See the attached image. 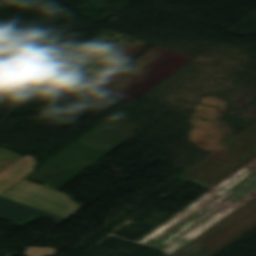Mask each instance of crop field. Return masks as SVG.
<instances>
[{
  "instance_id": "crop-field-1",
  "label": "crop field",
  "mask_w": 256,
  "mask_h": 256,
  "mask_svg": "<svg viewBox=\"0 0 256 256\" xmlns=\"http://www.w3.org/2000/svg\"><path fill=\"white\" fill-rule=\"evenodd\" d=\"M255 197L256 160L207 191L159 226L198 236ZM192 218L195 219L192 220Z\"/></svg>"
},
{
  "instance_id": "crop-field-2",
  "label": "crop field",
  "mask_w": 256,
  "mask_h": 256,
  "mask_svg": "<svg viewBox=\"0 0 256 256\" xmlns=\"http://www.w3.org/2000/svg\"><path fill=\"white\" fill-rule=\"evenodd\" d=\"M233 139L236 148L210 154L179 177L211 189L256 159V122Z\"/></svg>"
},
{
  "instance_id": "crop-field-3",
  "label": "crop field",
  "mask_w": 256,
  "mask_h": 256,
  "mask_svg": "<svg viewBox=\"0 0 256 256\" xmlns=\"http://www.w3.org/2000/svg\"><path fill=\"white\" fill-rule=\"evenodd\" d=\"M256 228V198L171 256H215Z\"/></svg>"
},
{
  "instance_id": "crop-field-4",
  "label": "crop field",
  "mask_w": 256,
  "mask_h": 256,
  "mask_svg": "<svg viewBox=\"0 0 256 256\" xmlns=\"http://www.w3.org/2000/svg\"><path fill=\"white\" fill-rule=\"evenodd\" d=\"M107 31L110 30H104L87 47L72 58L91 72L93 81L111 71L147 44L113 31ZM109 34L112 35L107 37ZM123 37L126 38L122 40ZM118 39L121 42L112 44ZM129 39L135 42L131 44L132 42H128ZM107 41H111V43L107 44Z\"/></svg>"
},
{
  "instance_id": "crop-field-5",
  "label": "crop field",
  "mask_w": 256,
  "mask_h": 256,
  "mask_svg": "<svg viewBox=\"0 0 256 256\" xmlns=\"http://www.w3.org/2000/svg\"><path fill=\"white\" fill-rule=\"evenodd\" d=\"M1 197L51 213L67 219L80 210L79 206L69 200L67 195L45 186H36L30 181H22L8 190Z\"/></svg>"
},
{
  "instance_id": "crop-field-6",
  "label": "crop field",
  "mask_w": 256,
  "mask_h": 256,
  "mask_svg": "<svg viewBox=\"0 0 256 256\" xmlns=\"http://www.w3.org/2000/svg\"><path fill=\"white\" fill-rule=\"evenodd\" d=\"M195 237L196 236L157 226L136 242L163 249L169 256Z\"/></svg>"
},
{
  "instance_id": "crop-field-7",
  "label": "crop field",
  "mask_w": 256,
  "mask_h": 256,
  "mask_svg": "<svg viewBox=\"0 0 256 256\" xmlns=\"http://www.w3.org/2000/svg\"><path fill=\"white\" fill-rule=\"evenodd\" d=\"M42 217L57 223L65 220L0 197V219L2 220L24 227Z\"/></svg>"
},
{
  "instance_id": "crop-field-8",
  "label": "crop field",
  "mask_w": 256,
  "mask_h": 256,
  "mask_svg": "<svg viewBox=\"0 0 256 256\" xmlns=\"http://www.w3.org/2000/svg\"><path fill=\"white\" fill-rule=\"evenodd\" d=\"M37 165L33 156H25L0 173V195L34 171Z\"/></svg>"
},
{
  "instance_id": "crop-field-9",
  "label": "crop field",
  "mask_w": 256,
  "mask_h": 256,
  "mask_svg": "<svg viewBox=\"0 0 256 256\" xmlns=\"http://www.w3.org/2000/svg\"><path fill=\"white\" fill-rule=\"evenodd\" d=\"M56 254V250L52 248L29 247L25 250V256H46Z\"/></svg>"
},
{
  "instance_id": "crop-field-10",
  "label": "crop field",
  "mask_w": 256,
  "mask_h": 256,
  "mask_svg": "<svg viewBox=\"0 0 256 256\" xmlns=\"http://www.w3.org/2000/svg\"><path fill=\"white\" fill-rule=\"evenodd\" d=\"M11 164V162L0 152V170Z\"/></svg>"
},
{
  "instance_id": "crop-field-11",
  "label": "crop field",
  "mask_w": 256,
  "mask_h": 256,
  "mask_svg": "<svg viewBox=\"0 0 256 256\" xmlns=\"http://www.w3.org/2000/svg\"><path fill=\"white\" fill-rule=\"evenodd\" d=\"M0 151L11 161L14 162L16 160H18L20 157L14 154H11L7 151H5L4 149H0Z\"/></svg>"
}]
</instances>
